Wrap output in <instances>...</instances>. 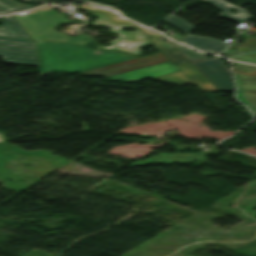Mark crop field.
I'll list each match as a JSON object with an SVG mask.
<instances>
[{
    "label": "crop field",
    "instance_id": "obj_12",
    "mask_svg": "<svg viewBox=\"0 0 256 256\" xmlns=\"http://www.w3.org/2000/svg\"><path fill=\"white\" fill-rule=\"evenodd\" d=\"M205 1L212 3L218 9H220L222 11V13L219 16H221V17H225V18L237 21V22L252 18V16H250L246 10L236 7L224 0H205ZM230 9H235L236 13L235 14L229 13L228 10H230Z\"/></svg>",
    "mask_w": 256,
    "mask_h": 256
},
{
    "label": "crop field",
    "instance_id": "obj_13",
    "mask_svg": "<svg viewBox=\"0 0 256 256\" xmlns=\"http://www.w3.org/2000/svg\"><path fill=\"white\" fill-rule=\"evenodd\" d=\"M35 8L31 5H21L12 0H0V14H9Z\"/></svg>",
    "mask_w": 256,
    "mask_h": 256
},
{
    "label": "crop field",
    "instance_id": "obj_5",
    "mask_svg": "<svg viewBox=\"0 0 256 256\" xmlns=\"http://www.w3.org/2000/svg\"><path fill=\"white\" fill-rule=\"evenodd\" d=\"M232 69L238 88L237 98L256 116V67L236 63Z\"/></svg>",
    "mask_w": 256,
    "mask_h": 256
},
{
    "label": "crop field",
    "instance_id": "obj_4",
    "mask_svg": "<svg viewBox=\"0 0 256 256\" xmlns=\"http://www.w3.org/2000/svg\"><path fill=\"white\" fill-rule=\"evenodd\" d=\"M85 12L97 15L99 19L92 22L96 26H107L112 32L120 34V38L112 41V46L110 47H99L101 49H113L122 52H127L130 54L140 55L141 51L138 49L140 46L148 45L150 42L139 32H125L119 30L121 26L132 27L138 30L130 21L120 18L117 14L112 13L105 9H98L90 5H85L82 7Z\"/></svg>",
    "mask_w": 256,
    "mask_h": 256
},
{
    "label": "crop field",
    "instance_id": "obj_10",
    "mask_svg": "<svg viewBox=\"0 0 256 256\" xmlns=\"http://www.w3.org/2000/svg\"><path fill=\"white\" fill-rule=\"evenodd\" d=\"M174 71H178V69L170 62H166L109 78L123 81L143 80Z\"/></svg>",
    "mask_w": 256,
    "mask_h": 256
},
{
    "label": "crop field",
    "instance_id": "obj_2",
    "mask_svg": "<svg viewBox=\"0 0 256 256\" xmlns=\"http://www.w3.org/2000/svg\"><path fill=\"white\" fill-rule=\"evenodd\" d=\"M48 6L32 12L15 15L19 24L25 28L34 41L53 40L73 42L85 45L91 38L85 35H78L73 38L55 31L53 28L64 23H82L69 21L55 12L47 11Z\"/></svg>",
    "mask_w": 256,
    "mask_h": 256
},
{
    "label": "crop field",
    "instance_id": "obj_8",
    "mask_svg": "<svg viewBox=\"0 0 256 256\" xmlns=\"http://www.w3.org/2000/svg\"><path fill=\"white\" fill-rule=\"evenodd\" d=\"M175 65L182 72L154 78V80L177 85L194 83L201 91L218 90L191 63Z\"/></svg>",
    "mask_w": 256,
    "mask_h": 256
},
{
    "label": "crop field",
    "instance_id": "obj_15",
    "mask_svg": "<svg viewBox=\"0 0 256 256\" xmlns=\"http://www.w3.org/2000/svg\"><path fill=\"white\" fill-rule=\"evenodd\" d=\"M226 58L256 64V51L226 56Z\"/></svg>",
    "mask_w": 256,
    "mask_h": 256
},
{
    "label": "crop field",
    "instance_id": "obj_11",
    "mask_svg": "<svg viewBox=\"0 0 256 256\" xmlns=\"http://www.w3.org/2000/svg\"><path fill=\"white\" fill-rule=\"evenodd\" d=\"M138 26V25H137ZM149 39L172 61L175 63L187 62L188 60L171 44V42L163 43L156 41L158 38L162 37L161 34L156 33L147 28L138 26Z\"/></svg>",
    "mask_w": 256,
    "mask_h": 256
},
{
    "label": "crop field",
    "instance_id": "obj_16",
    "mask_svg": "<svg viewBox=\"0 0 256 256\" xmlns=\"http://www.w3.org/2000/svg\"><path fill=\"white\" fill-rule=\"evenodd\" d=\"M189 61L205 59L206 57L188 48L174 45Z\"/></svg>",
    "mask_w": 256,
    "mask_h": 256
},
{
    "label": "crop field",
    "instance_id": "obj_3",
    "mask_svg": "<svg viewBox=\"0 0 256 256\" xmlns=\"http://www.w3.org/2000/svg\"><path fill=\"white\" fill-rule=\"evenodd\" d=\"M2 23L0 35L30 39L14 17L2 18ZM0 56L8 63L38 65L33 42L26 39L0 36Z\"/></svg>",
    "mask_w": 256,
    "mask_h": 256
},
{
    "label": "crop field",
    "instance_id": "obj_14",
    "mask_svg": "<svg viewBox=\"0 0 256 256\" xmlns=\"http://www.w3.org/2000/svg\"><path fill=\"white\" fill-rule=\"evenodd\" d=\"M232 48H237V50H233ZM252 48H256V36L253 38H246L243 44L230 46L223 53L228 54V53L238 52V51L252 49Z\"/></svg>",
    "mask_w": 256,
    "mask_h": 256
},
{
    "label": "crop field",
    "instance_id": "obj_1",
    "mask_svg": "<svg viewBox=\"0 0 256 256\" xmlns=\"http://www.w3.org/2000/svg\"><path fill=\"white\" fill-rule=\"evenodd\" d=\"M36 46L40 72H81L136 57L118 52L91 50L74 44L39 41Z\"/></svg>",
    "mask_w": 256,
    "mask_h": 256
},
{
    "label": "crop field",
    "instance_id": "obj_6",
    "mask_svg": "<svg viewBox=\"0 0 256 256\" xmlns=\"http://www.w3.org/2000/svg\"><path fill=\"white\" fill-rule=\"evenodd\" d=\"M219 90H234L227 65L218 58L192 63Z\"/></svg>",
    "mask_w": 256,
    "mask_h": 256
},
{
    "label": "crop field",
    "instance_id": "obj_17",
    "mask_svg": "<svg viewBox=\"0 0 256 256\" xmlns=\"http://www.w3.org/2000/svg\"><path fill=\"white\" fill-rule=\"evenodd\" d=\"M43 1H47V2H50V1H54V0H43ZM83 1H86L88 3H92V4H96V5H100V6H104V7H108L116 12H118L119 14H121L122 16L126 17L123 13H121L118 9L114 8V7H110V6H106V5H102V4H98V3H94V2H90V1H87V0H83Z\"/></svg>",
    "mask_w": 256,
    "mask_h": 256
},
{
    "label": "crop field",
    "instance_id": "obj_9",
    "mask_svg": "<svg viewBox=\"0 0 256 256\" xmlns=\"http://www.w3.org/2000/svg\"><path fill=\"white\" fill-rule=\"evenodd\" d=\"M163 61H166V59L162 54L159 53V54L151 55L149 57L129 60V61L115 64V65L96 69L90 72L83 73L82 75L89 76L92 74H97L99 76L109 77V76L129 72L132 70H136L139 68H143L146 66H150L153 64L161 63Z\"/></svg>",
    "mask_w": 256,
    "mask_h": 256
},
{
    "label": "crop field",
    "instance_id": "obj_7",
    "mask_svg": "<svg viewBox=\"0 0 256 256\" xmlns=\"http://www.w3.org/2000/svg\"><path fill=\"white\" fill-rule=\"evenodd\" d=\"M166 22L185 31L187 34L195 28L194 26L182 21L180 18L174 15H171L170 17H168L166 19ZM179 42L189 46H194L205 52L215 53V54L221 53L225 49V47L228 45L227 43H223L210 38L200 37L196 35H189V34Z\"/></svg>",
    "mask_w": 256,
    "mask_h": 256
}]
</instances>
